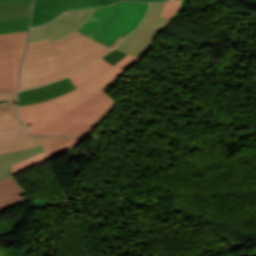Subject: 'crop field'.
Segmentation results:
<instances>
[{
	"mask_svg": "<svg viewBox=\"0 0 256 256\" xmlns=\"http://www.w3.org/2000/svg\"><path fill=\"white\" fill-rule=\"evenodd\" d=\"M111 50L76 31L56 42L50 43L47 39L28 43L21 67L20 90L69 76Z\"/></svg>",
	"mask_w": 256,
	"mask_h": 256,
	"instance_id": "crop-field-1",
	"label": "crop field"
},
{
	"mask_svg": "<svg viewBox=\"0 0 256 256\" xmlns=\"http://www.w3.org/2000/svg\"><path fill=\"white\" fill-rule=\"evenodd\" d=\"M148 3L120 1L95 8L89 20L77 31L111 47L136 29L146 14Z\"/></svg>",
	"mask_w": 256,
	"mask_h": 256,
	"instance_id": "crop-field-2",
	"label": "crop field"
},
{
	"mask_svg": "<svg viewBox=\"0 0 256 256\" xmlns=\"http://www.w3.org/2000/svg\"><path fill=\"white\" fill-rule=\"evenodd\" d=\"M115 105L116 102L105 93L71 115L31 132L37 135H90Z\"/></svg>",
	"mask_w": 256,
	"mask_h": 256,
	"instance_id": "crop-field-3",
	"label": "crop field"
},
{
	"mask_svg": "<svg viewBox=\"0 0 256 256\" xmlns=\"http://www.w3.org/2000/svg\"><path fill=\"white\" fill-rule=\"evenodd\" d=\"M164 6L165 2L150 4L149 11L139 27L132 34L126 36L116 49L142 59L157 35L172 22V20L160 17Z\"/></svg>",
	"mask_w": 256,
	"mask_h": 256,
	"instance_id": "crop-field-4",
	"label": "crop field"
},
{
	"mask_svg": "<svg viewBox=\"0 0 256 256\" xmlns=\"http://www.w3.org/2000/svg\"><path fill=\"white\" fill-rule=\"evenodd\" d=\"M85 98L87 97L76 89L47 102L21 106L19 110L24 124L31 130L66 115L64 110ZM29 123L33 126L28 127Z\"/></svg>",
	"mask_w": 256,
	"mask_h": 256,
	"instance_id": "crop-field-5",
	"label": "crop field"
},
{
	"mask_svg": "<svg viewBox=\"0 0 256 256\" xmlns=\"http://www.w3.org/2000/svg\"><path fill=\"white\" fill-rule=\"evenodd\" d=\"M94 8L68 11L48 24L31 29L29 42L45 40L56 41L77 30L91 16Z\"/></svg>",
	"mask_w": 256,
	"mask_h": 256,
	"instance_id": "crop-field-6",
	"label": "crop field"
},
{
	"mask_svg": "<svg viewBox=\"0 0 256 256\" xmlns=\"http://www.w3.org/2000/svg\"><path fill=\"white\" fill-rule=\"evenodd\" d=\"M139 60V58L128 55L113 67L100 59L88 68L70 76V78L74 85L85 94L118 71H128Z\"/></svg>",
	"mask_w": 256,
	"mask_h": 256,
	"instance_id": "crop-field-7",
	"label": "crop field"
},
{
	"mask_svg": "<svg viewBox=\"0 0 256 256\" xmlns=\"http://www.w3.org/2000/svg\"><path fill=\"white\" fill-rule=\"evenodd\" d=\"M116 1L118 0H35L31 27L46 24L60 13L68 10L108 5ZM134 1L152 2L160 0Z\"/></svg>",
	"mask_w": 256,
	"mask_h": 256,
	"instance_id": "crop-field-8",
	"label": "crop field"
},
{
	"mask_svg": "<svg viewBox=\"0 0 256 256\" xmlns=\"http://www.w3.org/2000/svg\"><path fill=\"white\" fill-rule=\"evenodd\" d=\"M73 89L75 87L66 78L45 87L21 91L19 93V106L50 100Z\"/></svg>",
	"mask_w": 256,
	"mask_h": 256,
	"instance_id": "crop-field-9",
	"label": "crop field"
},
{
	"mask_svg": "<svg viewBox=\"0 0 256 256\" xmlns=\"http://www.w3.org/2000/svg\"><path fill=\"white\" fill-rule=\"evenodd\" d=\"M27 32L0 34V60L22 58L26 45Z\"/></svg>",
	"mask_w": 256,
	"mask_h": 256,
	"instance_id": "crop-field-10",
	"label": "crop field"
},
{
	"mask_svg": "<svg viewBox=\"0 0 256 256\" xmlns=\"http://www.w3.org/2000/svg\"><path fill=\"white\" fill-rule=\"evenodd\" d=\"M23 191L14 183L12 177L0 180V212L7 207L29 200V196L21 198Z\"/></svg>",
	"mask_w": 256,
	"mask_h": 256,
	"instance_id": "crop-field-11",
	"label": "crop field"
},
{
	"mask_svg": "<svg viewBox=\"0 0 256 256\" xmlns=\"http://www.w3.org/2000/svg\"><path fill=\"white\" fill-rule=\"evenodd\" d=\"M20 62L21 60L0 61V92L17 91Z\"/></svg>",
	"mask_w": 256,
	"mask_h": 256,
	"instance_id": "crop-field-12",
	"label": "crop field"
},
{
	"mask_svg": "<svg viewBox=\"0 0 256 256\" xmlns=\"http://www.w3.org/2000/svg\"><path fill=\"white\" fill-rule=\"evenodd\" d=\"M40 152H42V149L40 146H38L27 150L0 154V179L11 176L10 165L27 159Z\"/></svg>",
	"mask_w": 256,
	"mask_h": 256,
	"instance_id": "crop-field-13",
	"label": "crop field"
},
{
	"mask_svg": "<svg viewBox=\"0 0 256 256\" xmlns=\"http://www.w3.org/2000/svg\"><path fill=\"white\" fill-rule=\"evenodd\" d=\"M38 146L29 134L0 140V153L12 152Z\"/></svg>",
	"mask_w": 256,
	"mask_h": 256,
	"instance_id": "crop-field-14",
	"label": "crop field"
},
{
	"mask_svg": "<svg viewBox=\"0 0 256 256\" xmlns=\"http://www.w3.org/2000/svg\"><path fill=\"white\" fill-rule=\"evenodd\" d=\"M31 4L32 2L18 5L0 6V21L30 17Z\"/></svg>",
	"mask_w": 256,
	"mask_h": 256,
	"instance_id": "crop-field-15",
	"label": "crop field"
},
{
	"mask_svg": "<svg viewBox=\"0 0 256 256\" xmlns=\"http://www.w3.org/2000/svg\"><path fill=\"white\" fill-rule=\"evenodd\" d=\"M22 125L16 111V104H8V107L0 118V129Z\"/></svg>",
	"mask_w": 256,
	"mask_h": 256,
	"instance_id": "crop-field-16",
	"label": "crop field"
},
{
	"mask_svg": "<svg viewBox=\"0 0 256 256\" xmlns=\"http://www.w3.org/2000/svg\"><path fill=\"white\" fill-rule=\"evenodd\" d=\"M48 160V157L44 152L21 162H18L11 166L12 175H15L17 173H20L24 170H27L35 165H38L44 161Z\"/></svg>",
	"mask_w": 256,
	"mask_h": 256,
	"instance_id": "crop-field-17",
	"label": "crop field"
},
{
	"mask_svg": "<svg viewBox=\"0 0 256 256\" xmlns=\"http://www.w3.org/2000/svg\"><path fill=\"white\" fill-rule=\"evenodd\" d=\"M30 18L14 19L0 22V33L28 30Z\"/></svg>",
	"mask_w": 256,
	"mask_h": 256,
	"instance_id": "crop-field-18",
	"label": "crop field"
},
{
	"mask_svg": "<svg viewBox=\"0 0 256 256\" xmlns=\"http://www.w3.org/2000/svg\"><path fill=\"white\" fill-rule=\"evenodd\" d=\"M85 137H72L69 141H67L64 145H62L59 148L50 150L45 152L47 154V156L51 159L57 157V156H61L64 155L68 152H71L72 150H74L80 143L81 141L84 139Z\"/></svg>",
	"mask_w": 256,
	"mask_h": 256,
	"instance_id": "crop-field-19",
	"label": "crop field"
},
{
	"mask_svg": "<svg viewBox=\"0 0 256 256\" xmlns=\"http://www.w3.org/2000/svg\"><path fill=\"white\" fill-rule=\"evenodd\" d=\"M35 137V136H34ZM44 151L64 144L71 137H35Z\"/></svg>",
	"mask_w": 256,
	"mask_h": 256,
	"instance_id": "crop-field-20",
	"label": "crop field"
},
{
	"mask_svg": "<svg viewBox=\"0 0 256 256\" xmlns=\"http://www.w3.org/2000/svg\"><path fill=\"white\" fill-rule=\"evenodd\" d=\"M180 2L181 0L167 1L165 10L161 16L170 19L179 8Z\"/></svg>",
	"mask_w": 256,
	"mask_h": 256,
	"instance_id": "crop-field-21",
	"label": "crop field"
},
{
	"mask_svg": "<svg viewBox=\"0 0 256 256\" xmlns=\"http://www.w3.org/2000/svg\"><path fill=\"white\" fill-rule=\"evenodd\" d=\"M23 126L0 130V139L26 134Z\"/></svg>",
	"mask_w": 256,
	"mask_h": 256,
	"instance_id": "crop-field-22",
	"label": "crop field"
},
{
	"mask_svg": "<svg viewBox=\"0 0 256 256\" xmlns=\"http://www.w3.org/2000/svg\"><path fill=\"white\" fill-rule=\"evenodd\" d=\"M127 54L117 51V50H112L110 53L105 55L103 58L104 61L108 62L111 65H115L117 62H119L121 59H123Z\"/></svg>",
	"mask_w": 256,
	"mask_h": 256,
	"instance_id": "crop-field-23",
	"label": "crop field"
},
{
	"mask_svg": "<svg viewBox=\"0 0 256 256\" xmlns=\"http://www.w3.org/2000/svg\"><path fill=\"white\" fill-rule=\"evenodd\" d=\"M122 74H123V72L120 71L115 76H113L112 78H110L109 80H107L106 82L101 84L100 86L96 87L95 89L91 90L90 92L86 93L85 95L89 97V96L101 91L102 89L104 90L106 87H108L112 82H114Z\"/></svg>",
	"mask_w": 256,
	"mask_h": 256,
	"instance_id": "crop-field-24",
	"label": "crop field"
},
{
	"mask_svg": "<svg viewBox=\"0 0 256 256\" xmlns=\"http://www.w3.org/2000/svg\"><path fill=\"white\" fill-rule=\"evenodd\" d=\"M30 200L34 201L33 203H31V206H30V208H33V209H40V208H45L53 205V203L48 201L47 199H30Z\"/></svg>",
	"mask_w": 256,
	"mask_h": 256,
	"instance_id": "crop-field-25",
	"label": "crop field"
},
{
	"mask_svg": "<svg viewBox=\"0 0 256 256\" xmlns=\"http://www.w3.org/2000/svg\"><path fill=\"white\" fill-rule=\"evenodd\" d=\"M104 93H105V92L102 90L101 92H99V93L93 95L92 97H90V98H88V99H86V100H84V101H82V102L76 104L75 106L71 107L70 109H68V110H66V111H64V112L68 115V114L74 112L75 110H77L78 108L84 106L85 104H87L88 102H90L91 100H93L94 98H96V97H98V96H100V95H102V94H104Z\"/></svg>",
	"mask_w": 256,
	"mask_h": 256,
	"instance_id": "crop-field-26",
	"label": "crop field"
},
{
	"mask_svg": "<svg viewBox=\"0 0 256 256\" xmlns=\"http://www.w3.org/2000/svg\"><path fill=\"white\" fill-rule=\"evenodd\" d=\"M17 96V92L13 93H0V100H9L15 101Z\"/></svg>",
	"mask_w": 256,
	"mask_h": 256,
	"instance_id": "crop-field-27",
	"label": "crop field"
},
{
	"mask_svg": "<svg viewBox=\"0 0 256 256\" xmlns=\"http://www.w3.org/2000/svg\"><path fill=\"white\" fill-rule=\"evenodd\" d=\"M30 1L32 0H0V5L18 4Z\"/></svg>",
	"mask_w": 256,
	"mask_h": 256,
	"instance_id": "crop-field-28",
	"label": "crop field"
},
{
	"mask_svg": "<svg viewBox=\"0 0 256 256\" xmlns=\"http://www.w3.org/2000/svg\"><path fill=\"white\" fill-rule=\"evenodd\" d=\"M188 1H189V0H182V3H181V6H180L179 10L177 11V13H176L171 19L174 20L175 17H176L177 15H179V14L185 9V7H186Z\"/></svg>",
	"mask_w": 256,
	"mask_h": 256,
	"instance_id": "crop-field-29",
	"label": "crop field"
},
{
	"mask_svg": "<svg viewBox=\"0 0 256 256\" xmlns=\"http://www.w3.org/2000/svg\"><path fill=\"white\" fill-rule=\"evenodd\" d=\"M7 104H2L0 105V116L3 114L5 108H6Z\"/></svg>",
	"mask_w": 256,
	"mask_h": 256,
	"instance_id": "crop-field-30",
	"label": "crop field"
}]
</instances>
